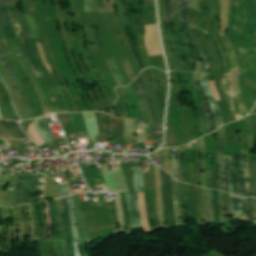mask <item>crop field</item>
Segmentation results:
<instances>
[{"instance_id": "34b2d1b8", "label": "crop field", "mask_w": 256, "mask_h": 256, "mask_svg": "<svg viewBox=\"0 0 256 256\" xmlns=\"http://www.w3.org/2000/svg\"><path fill=\"white\" fill-rule=\"evenodd\" d=\"M6 1V5L9 9V13H10V18H11V22H12V25L14 27V30L16 32V35L18 37V40H19V43H20V47L30 65V67L32 68L34 74L36 75V77H39L41 76L38 68L36 67L34 61L32 60L28 50H27V46H26V39H25V36H24V33H23V30L18 22V19H17V15H16V12L14 10V4L12 2V0H5Z\"/></svg>"}, {"instance_id": "e1f06a70", "label": "crop field", "mask_w": 256, "mask_h": 256, "mask_svg": "<svg viewBox=\"0 0 256 256\" xmlns=\"http://www.w3.org/2000/svg\"><path fill=\"white\" fill-rule=\"evenodd\" d=\"M135 192L143 191L142 169L134 170Z\"/></svg>"}, {"instance_id": "28ad6ade", "label": "crop field", "mask_w": 256, "mask_h": 256, "mask_svg": "<svg viewBox=\"0 0 256 256\" xmlns=\"http://www.w3.org/2000/svg\"><path fill=\"white\" fill-rule=\"evenodd\" d=\"M132 9L131 7V0H125V10H126V18H127V26H128V37H129V41H130V46H131V49L135 55V58L137 60V63L140 67V69H144L145 66L140 58V54H139V51L136 47V44H135V39H134V36H133V31H129V28H132L134 27V23H133V15H131L129 13L128 10Z\"/></svg>"}, {"instance_id": "89e229c0", "label": "crop field", "mask_w": 256, "mask_h": 256, "mask_svg": "<svg viewBox=\"0 0 256 256\" xmlns=\"http://www.w3.org/2000/svg\"><path fill=\"white\" fill-rule=\"evenodd\" d=\"M122 61H123L124 68H125L128 76H129V78H130V80L132 82L135 79V76H134V73H133V71H132V69H131V67L129 65L128 59L124 58V59H122Z\"/></svg>"}, {"instance_id": "dd49c442", "label": "crop field", "mask_w": 256, "mask_h": 256, "mask_svg": "<svg viewBox=\"0 0 256 256\" xmlns=\"http://www.w3.org/2000/svg\"><path fill=\"white\" fill-rule=\"evenodd\" d=\"M102 172L110 191L129 192L122 169L113 172L102 169Z\"/></svg>"}, {"instance_id": "d9b57169", "label": "crop field", "mask_w": 256, "mask_h": 256, "mask_svg": "<svg viewBox=\"0 0 256 256\" xmlns=\"http://www.w3.org/2000/svg\"><path fill=\"white\" fill-rule=\"evenodd\" d=\"M202 85H203V89L208 97L209 103L213 109V113L215 115V119H216V126L217 128L221 127L222 125H224L223 120H222V116L218 110V107L216 105V102L208 88V76L205 74H202Z\"/></svg>"}, {"instance_id": "1f2cbd36", "label": "crop field", "mask_w": 256, "mask_h": 256, "mask_svg": "<svg viewBox=\"0 0 256 256\" xmlns=\"http://www.w3.org/2000/svg\"><path fill=\"white\" fill-rule=\"evenodd\" d=\"M33 208H34V212H35V218H36L37 229H38V234H37L36 240H40V231H41V228L39 227V225L41 224V222H40V218H39V213H38V210H37V204H36V202H34Z\"/></svg>"}, {"instance_id": "0765c3eb", "label": "crop field", "mask_w": 256, "mask_h": 256, "mask_svg": "<svg viewBox=\"0 0 256 256\" xmlns=\"http://www.w3.org/2000/svg\"><path fill=\"white\" fill-rule=\"evenodd\" d=\"M247 202H248V212L251 215L250 217H248V219L250 222H254L251 198H247Z\"/></svg>"}, {"instance_id": "5d738f31", "label": "crop field", "mask_w": 256, "mask_h": 256, "mask_svg": "<svg viewBox=\"0 0 256 256\" xmlns=\"http://www.w3.org/2000/svg\"><path fill=\"white\" fill-rule=\"evenodd\" d=\"M82 218H83V228H84V234H85V238H86V244L88 246V245L92 244V242H91L90 235H89L86 211L82 214Z\"/></svg>"}, {"instance_id": "78b8030e", "label": "crop field", "mask_w": 256, "mask_h": 256, "mask_svg": "<svg viewBox=\"0 0 256 256\" xmlns=\"http://www.w3.org/2000/svg\"><path fill=\"white\" fill-rule=\"evenodd\" d=\"M172 2H173V13H176L178 10H180L179 0H172Z\"/></svg>"}, {"instance_id": "0f1d7ab4", "label": "crop field", "mask_w": 256, "mask_h": 256, "mask_svg": "<svg viewBox=\"0 0 256 256\" xmlns=\"http://www.w3.org/2000/svg\"><path fill=\"white\" fill-rule=\"evenodd\" d=\"M106 2H107V0H101V3H100V13L107 12L106 11Z\"/></svg>"}, {"instance_id": "0fb4a251", "label": "crop field", "mask_w": 256, "mask_h": 256, "mask_svg": "<svg viewBox=\"0 0 256 256\" xmlns=\"http://www.w3.org/2000/svg\"><path fill=\"white\" fill-rule=\"evenodd\" d=\"M164 6H165V16L173 15L171 0H164Z\"/></svg>"}, {"instance_id": "92a150f3", "label": "crop field", "mask_w": 256, "mask_h": 256, "mask_svg": "<svg viewBox=\"0 0 256 256\" xmlns=\"http://www.w3.org/2000/svg\"><path fill=\"white\" fill-rule=\"evenodd\" d=\"M74 201H75V214H76L77 227H78V233H79V237H80L81 248H82L84 256H90L86 250V244H85V239H84V235H83L82 219H81V215H80L79 196L78 195L74 196Z\"/></svg>"}, {"instance_id": "00972430", "label": "crop field", "mask_w": 256, "mask_h": 256, "mask_svg": "<svg viewBox=\"0 0 256 256\" xmlns=\"http://www.w3.org/2000/svg\"><path fill=\"white\" fill-rule=\"evenodd\" d=\"M68 206L70 209V215H71V221H72L73 239H74L76 256H82L80 247H79V238H78L76 223H75L73 196L68 197Z\"/></svg>"}, {"instance_id": "1d83c4d3", "label": "crop field", "mask_w": 256, "mask_h": 256, "mask_svg": "<svg viewBox=\"0 0 256 256\" xmlns=\"http://www.w3.org/2000/svg\"><path fill=\"white\" fill-rule=\"evenodd\" d=\"M172 185H173V194H174V211L177 221V227L182 226L180 221V215H179V202H178V185L177 180L172 178Z\"/></svg>"}, {"instance_id": "b54c1fbb", "label": "crop field", "mask_w": 256, "mask_h": 256, "mask_svg": "<svg viewBox=\"0 0 256 256\" xmlns=\"http://www.w3.org/2000/svg\"><path fill=\"white\" fill-rule=\"evenodd\" d=\"M108 62L110 64L111 71H112V73H113V75H114L118 85L119 86H125L124 82H123V80H122V78H121V76H120V74H119V72H118V70L116 68V65H115L114 61L110 60Z\"/></svg>"}, {"instance_id": "d23c7cc5", "label": "crop field", "mask_w": 256, "mask_h": 256, "mask_svg": "<svg viewBox=\"0 0 256 256\" xmlns=\"http://www.w3.org/2000/svg\"><path fill=\"white\" fill-rule=\"evenodd\" d=\"M185 198H186V211L187 219L191 220V211H190V198H189V185L185 184Z\"/></svg>"}, {"instance_id": "750c4746", "label": "crop field", "mask_w": 256, "mask_h": 256, "mask_svg": "<svg viewBox=\"0 0 256 256\" xmlns=\"http://www.w3.org/2000/svg\"><path fill=\"white\" fill-rule=\"evenodd\" d=\"M52 214H53V220L55 224L54 244H55L57 256H61L60 244H59V223H58L57 212H56V201H53V204H52Z\"/></svg>"}, {"instance_id": "425ffa30", "label": "crop field", "mask_w": 256, "mask_h": 256, "mask_svg": "<svg viewBox=\"0 0 256 256\" xmlns=\"http://www.w3.org/2000/svg\"><path fill=\"white\" fill-rule=\"evenodd\" d=\"M219 203H220V211H221V224L226 222L225 217V207H224V200H223V192L219 191Z\"/></svg>"}, {"instance_id": "c21b1889", "label": "crop field", "mask_w": 256, "mask_h": 256, "mask_svg": "<svg viewBox=\"0 0 256 256\" xmlns=\"http://www.w3.org/2000/svg\"><path fill=\"white\" fill-rule=\"evenodd\" d=\"M251 165H252V160L248 159L247 167H246V193H247V197H251V192H250Z\"/></svg>"}, {"instance_id": "d14b1444", "label": "crop field", "mask_w": 256, "mask_h": 256, "mask_svg": "<svg viewBox=\"0 0 256 256\" xmlns=\"http://www.w3.org/2000/svg\"><path fill=\"white\" fill-rule=\"evenodd\" d=\"M252 202H253L254 217H255V224H256V199L252 198Z\"/></svg>"}, {"instance_id": "4a817a6b", "label": "crop field", "mask_w": 256, "mask_h": 256, "mask_svg": "<svg viewBox=\"0 0 256 256\" xmlns=\"http://www.w3.org/2000/svg\"><path fill=\"white\" fill-rule=\"evenodd\" d=\"M34 126L38 130L39 134L45 139V141L48 142V145L57 142V139L46 123L44 117L37 119V121L34 123Z\"/></svg>"}, {"instance_id": "f4fd0767", "label": "crop field", "mask_w": 256, "mask_h": 256, "mask_svg": "<svg viewBox=\"0 0 256 256\" xmlns=\"http://www.w3.org/2000/svg\"><path fill=\"white\" fill-rule=\"evenodd\" d=\"M213 4H214L213 33H214V38L222 54L225 73H226L229 69H231V63L219 34L220 0H213Z\"/></svg>"}, {"instance_id": "a9b5d70f", "label": "crop field", "mask_w": 256, "mask_h": 256, "mask_svg": "<svg viewBox=\"0 0 256 256\" xmlns=\"http://www.w3.org/2000/svg\"><path fill=\"white\" fill-rule=\"evenodd\" d=\"M196 84H197L199 92L202 95V98L205 97V94H204V92L202 90V86H201V80H197ZM202 103H203L205 111H206V115H207L208 122H209V130H210V133H211V132L216 130L214 115H213V113L210 109V106H209V103H208L207 99L205 101H203V99H202Z\"/></svg>"}, {"instance_id": "120bbe31", "label": "crop field", "mask_w": 256, "mask_h": 256, "mask_svg": "<svg viewBox=\"0 0 256 256\" xmlns=\"http://www.w3.org/2000/svg\"><path fill=\"white\" fill-rule=\"evenodd\" d=\"M10 23L8 9L4 0H0V25Z\"/></svg>"}, {"instance_id": "214f88e0", "label": "crop field", "mask_w": 256, "mask_h": 256, "mask_svg": "<svg viewBox=\"0 0 256 256\" xmlns=\"http://www.w3.org/2000/svg\"><path fill=\"white\" fill-rule=\"evenodd\" d=\"M181 28L183 30L184 36H185L188 44L193 47V52L195 54V57H201V54H200L197 46L193 42V40L190 36V33H189L188 18H187V7L185 9L181 10Z\"/></svg>"}, {"instance_id": "b80d0937", "label": "crop field", "mask_w": 256, "mask_h": 256, "mask_svg": "<svg viewBox=\"0 0 256 256\" xmlns=\"http://www.w3.org/2000/svg\"><path fill=\"white\" fill-rule=\"evenodd\" d=\"M92 28H93V32H94V43H95L96 54L103 53L98 26H95Z\"/></svg>"}, {"instance_id": "25e5ab78", "label": "crop field", "mask_w": 256, "mask_h": 256, "mask_svg": "<svg viewBox=\"0 0 256 256\" xmlns=\"http://www.w3.org/2000/svg\"><path fill=\"white\" fill-rule=\"evenodd\" d=\"M235 95H236V98H237V101H238V104H239L242 116H245L246 114H248V112H247V109L245 107V103H244L242 94L241 93H237Z\"/></svg>"}, {"instance_id": "dbb93151", "label": "crop field", "mask_w": 256, "mask_h": 256, "mask_svg": "<svg viewBox=\"0 0 256 256\" xmlns=\"http://www.w3.org/2000/svg\"><path fill=\"white\" fill-rule=\"evenodd\" d=\"M58 190H59V198L68 196V185L67 184L58 185Z\"/></svg>"}, {"instance_id": "ae1a2a85", "label": "crop field", "mask_w": 256, "mask_h": 256, "mask_svg": "<svg viewBox=\"0 0 256 256\" xmlns=\"http://www.w3.org/2000/svg\"><path fill=\"white\" fill-rule=\"evenodd\" d=\"M26 38H27V42H28V45H29V48H30V52L41 72V74H46L48 73V71L46 70V68L43 66L37 52H36V49H35V44H34V40H33V36L32 34H28L26 35Z\"/></svg>"}, {"instance_id": "1d79db26", "label": "crop field", "mask_w": 256, "mask_h": 256, "mask_svg": "<svg viewBox=\"0 0 256 256\" xmlns=\"http://www.w3.org/2000/svg\"><path fill=\"white\" fill-rule=\"evenodd\" d=\"M172 158V176L177 178V162H176V153L171 154Z\"/></svg>"}, {"instance_id": "4177f3b9", "label": "crop field", "mask_w": 256, "mask_h": 256, "mask_svg": "<svg viewBox=\"0 0 256 256\" xmlns=\"http://www.w3.org/2000/svg\"><path fill=\"white\" fill-rule=\"evenodd\" d=\"M137 79H138V81L140 83V86H141V88L144 92V95L146 97L148 108H149V111H150V116H151V119H152V123H153V125H158L156 115H155V108H154V105H153V101H152V98H151V96L148 92V89H147V87L144 83L142 74Z\"/></svg>"}, {"instance_id": "db79e9e6", "label": "crop field", "mask_w": 256, "mask_h": 256, "mask_svg": "<svg viewBox=\"0 0 256 256\" xmlns=\"http://www.w3.org/2000/svg\"><path fill=\"white\" fill-rule=\"evenodd\" d=\"M184 164H185V171H184L185 182L189 183V175H188L189 168L187 164V154H185Z\"/></svg>"}, {"instance_id": "0bd39190", "label": "crop field", "mask_w": 256, "mask_h": 256, "mask_svg": "<svg viewBox=\"0 0 256 256\" xmlns=\"http://www.w3.org/2000/svg\"><path fill=\"white\" fill-rule=\"evenodd\" d=\"M60 213V219H61V224H62V230H61V250H62V256H67V251H66V240H65V227L63 224V211L62 209L59 210Z\"/></svg>"}, {"instance_id": "ade564c9", "label": "crop field", "mask_w": 256, "mask_h": 256, "mask_svg": "<svg viewBox=\"0 0 256 256\" xmlns=\"http://www.w3.org/2000/svg\"><path fill=\"white\" fill-rule=\"evenodd\" d=\"M194 3H196V0H188V6H190V5L194 4Z\"/></svg>"}, {"instance_id": "d8731c3e", "label": "crop field", "mask_w": 256, "mask_h": 256, "mask_svg": "<svg viewBox=\"0 0 256 256\" xmlns=\"http://www.w3.org/2000/svg\"><path fill=\"white\" fill-rule=\"evenodd\" d=\"M128 211L130 215V225L132 230L143 228L138 205V193H126Z\"/></svg>"}, {"instance_id": "bd1437ed", "label": "crop field", "mask_w": 256, "mask_h": 256, "mask_svg": "<svg viewBox=\"0 0 256 256\" xmlns=\"http://www.w3.org/2000/svg\"><path fill=\"white\" fill-rule=\"evenodd\" d=\"M167 175V189H168V204H169V214L171 217L172 227H176V221L173 211V194H172V186H171V176Z\"/></svg>"}, {"instance_id": "e1d0b9f6", "label": "crop field", "mask_w": 256, "mask_h": 256, "mask_svg": "<svg viewBox=\"0 0 256 256\" xmlns=\"http://www.w3.org/2000/svg\"><path fill=\"white\" fill-rule=\"evenodd\" d=\"M84 3H85L86 12L92 11V9H91V0H84Z\"/></svg>"}, {"instance_id": "d32e631a", "label": "crop field", "mask_w": 256, "mask_h": 256, "mask_svg": "<svg viewBox=\"0 0 256 256\" xmlns=\"http://www.w3.org/2000/svg\"><path fill=\"white\" fill-rule=\"evenodd\" d=\"M121 204L124 212V223L127 228V233L128 235L131 234V227L129 225V216H128V211H127V205H126V200H125V193H121Z\"/></svg>"}, {"instance_id": "dafd665d", "label": "crop field", "mask_w": 256, "mask_h": 256, "mask_svg": "<svg viewBox=\"0 0 256 256\" xmlns=\"http://www.w3.org/2000/svg\"><path fill=\"white\" fill-rule=\"evenodd\" d=\"M63 201V210L66 220V233H67V246H68V256H75L73 252V239H72V230L70 226L69 213L67 207V198L62 199Z\"/></svg>"}, {"instance_id": "e52e79f7", "label": "crop field", "mask_w": 256, "mask_h": 256, "mask_svg": "<svg viewBox=\"0 0 256 256\" xmlns=\"http://www.w3.org/2000/svg\"><path fill=\"white\" fill-rule=\"evenodd\" d=\"M168 26V35L171 41L173 54L175 57L177 70H186V64L182 61V56L185 55L183 48L180 46L173 33V17H165Z\"/></svg>"}, {"instance_id": "ac0d7876", "label": "crop field", "mask_w": 256, "mask_h": 256, "mask_svg": "<svg viewBox=\"0 0 256 256\" xmlns=\"http://www.w3.org/2000/svg\"><path fill=\"white\" fill-rule=\"evenodd\" d=\"M246 161L247 152L232 154L228 168L230 193L240 197H246L244 185Z\"/></svg>"}, {"instance_id": "c39391a2", "label": "crop field", "mask_w": 256, "mask_h": 256, "mask_svg": "<svg viewBox=\"0 0 256 256\" xmlns=\"http://www.w3.org/2000/svg\"><path fill=\"white\" fill-rule=\"evenodd\" d=\"M181 9L187 6V0H180Z\"/></svg>"}, {"instance_id": "028f5c9d", "label": "crop field", "mask_w": 256, "mask_h": 256, "mask_svg": "<svg viewBox=\"0 0 256 256\" xmlns=\"http://www.w3.org/2000/svg\"><path fill=\"white\" fill-rule=\"evenodd\" d=\"M17 139L28 138L20 128V125L17 122H5Z\"/></svg>"}, {"instance_id": "ae633e8c", "label": "crop field", "mask_w": 256, "mask_h": 256, "mask_svg": "<svg viewBox=\"0 0 256 256\" xmlns=\"http://www.w3.org/2000/svg\"><path fill=\"white\" fill-rule=\"evenodd\" d=\"M212 40H213V39H212ZM213 43H214V46H215V48H216V50H217V53H218V55H219V57H220V61H221V71H222V74H224L223 63H222L220 51H219V49H218V47H217V45H216V43H215L214 40H213Z\"/></svg>"}, {"instance_id": "733c2abd", "label": "crop field", "mask_w": 256, "mask_h": 256, "mask_svg": "<svg viewBox=\"0 0 256 256\" xmlns=\"http://www.w3.org/2000/svg\"><path fill=\"white\" fill-rule=\"evenodd\" d=\"M23 182H22V189L19 193L18 204L29 203L31 198V191L33 185V175L23 174Z\"/></svg>"}, {"instance_id": "5142ce71", "label": "crop field", "mask_w": 256, "mask_h": 256, "mask_svg": "<svg viewBox=\"0 0 256 256\" xmlns=\"http://www.w3.org/2000/svg\"><path fill=\"white\" fill-rule=\"evenodd\" d=\"M206 192H208V205H209V215H210V221L208 216V208H207V195ZM202 203H203V216H204V224L209 223H215L214 219V212H213V192L209 189H202Z\"/></svg>"}, {"instance_id": "bc2a9ffb", "label": "crop field", "mask_w": 256, "mask_h": 256, "mask_svg": "<svg viewBox=\"0 0 256 256\" xmlns=\"http://www.w3.org/2000/svg\"><path fill=\"white\" fill-rule=\"evenodd\" d=\"M230 199H231L232 219H242V220L248 221L247 219H244V218H247V203H246V200H238V199L233 197L235 216L244 217V218H238V217H234L233 202H232V196L231 195H230ZM239 199H246V198H239Z\"/></svg>"}, {"instance_id": "03da06ac", "label": "crop field", "mask_w": 256, "mask_h": 256, "mask_svg": "<svg viewBox=\"0 0 256 256\" xmlns=\"http://www.w3.org/2000/svg\"><path fill=\"white\" fill-rule=\"evenodd\" d=\"M222 39H223V42H224V44H225V46H226V48L228 50L229 57H230L231 63H232V68H237L234 52H233V50H232V48H231V46H230V44L228 42L227 37L223 36Z\"/></svg>"}, {"instance_id": "73cf0c24", "label": "crop field", "mask_w": 256, "mask_h": 256, "mask_svg": "<svg viewBox=\"0 0 256 256\" xmlns=\"http://www.w3.org/2000/svg\"><path fill=\"white\" fill-rule=\"evenodd\" d=\"M222 165H223V153L219 154V166H220V176H219V183L218 188L223 191V174H222Z\"/></svg>"}, {"instance_id": "3316defc", "label": "crop field", "mask_w": 256, "mask_h": 256, "mask_svg": "<svg viewBox=\"0 0 256 256\" xmlns=\"http://www.w3.org/2000/svg\"><path fill=\"white\" fill-rule=\"evenodd\" d=\"M145 29H146L145 42H146V48L149 56L155 55L153 46H152V39H153V45H154L156 55H163L160 42L158 39V34H157V24L151 25L152 39H151L150 25H145Z\"/></svg>"}, {"instance_id": "412701ff", "label": "crop field", "mask_w": 256, "mask_h": 256, "mask_svg": "<svg viewBox=\"0 0 256 256\" xmlns=\"http://www.w3.org/2000/svg\"><path fill=\"white\" fill-rule=\"evenodd\" d=\"M188 17H189V28L191 32V36L194 39L196 45L198 46L199 50L202 53L203 59H204V65L202 69V73H209V60L207 56V51L204 48V45L199 39L198 36V30H197V25H196V4L192 5L188 8Z\"/></svg>"}, {"instance_id": "d1516ede", "label": "crop field", "mask_w": 256, "mask_h": 256, "mask_svg": "<svg viewBox=\"0 0 256 256\" xmlns=\"http://www.w3.org/2000/svg\"><path fill=\"white\" fill-rule=\"evenodd\" d=\"M187 82L192 90L194 99H195V103L199 112V116H200V120H201V125H202V129H203V134H208V125H207V119H206V115H205V111L203 109L202 103H201V99L199 94L197 93L194 83H193V73L192 72H187Z\"/></svg>"}, {"instance_id": "cbeb9de0", "label": "crop field", "mask_w": 256, "mask_h": 256, "mask_svg": "<svg viewBox=\"0 0 256 256\" xmlns=\"http://www.w3.org/2000/svg\"><path fill=\"white\" fill-rule=\"evenodd\" d=\"M119 88H120V90H121V92H122V94H123V96H124V98H125V100H126V102L128 104L131 118H137L138 117V118L143 119V115H142V113L140 111V108H139V105H138V101H137V97H136V95H135V93L133 91L132 86L129 85L127 87V89L126 88H122V87H119ZM127 90L130 93V96L132 98L133 103H132V101H131V99L129 97V94H128ZM133 104L135 106L137 117H136V114H135V110H134Z\"/></svg>"}, {"instance_id": "730fd06b", "label": "crop field", "mask_w": 256, "mask_h": 256, "mask_svg": "<svg viewBox=\"0 0 256 256\" xmlns=\"http://www.w3.org/2000/svg\"><path fill=\"white\" fill-rule=\"evenodd\" d=\"M161 179H162V199H163V209H164V219L166 228L171 227L170 217L168 214V205H167V189H166V176L165 171L161 169Z\"/></svg>"}, {"instance_id": "5a996713", "label": "crop field", "mask_w": 256, "mask_h": 256, "mask_svg": "<svg viewBox=\"0 0 256 256\" xmlns=\"http://www.w3.org/2000/svg\"><path fill=\"white\" fill-rule=\"evenodd\" d=\"M174 30H175L176 37L178 38L179 42L183 45V47L185 49L186 59H187V70L193 71L194 56L192 54V51H191L189 45L184 40L182 31L180 29V11L177 12L176 15H174Z\"/></svg>"}, {"instance_id": "9d1cf04e", "label": "crop field", "mask_w": 256, "mask_h": 256, "mask_svg": "<svg viewBox=\"0 0 256 256\" xmlns=\"http://www.w3.org/2000/svg\"><path fill=\"white\" fill-rule=\"evenodd\" d=\"M228 163H229V159L225 160V165H224V183H225V191H227V192H229L228 178H227Z\"/></svg>"}, {"instance_id": "c5b07064", "label": "crop field", "mask_w": 256, "mask_h": 256, "mask_svg": "<svg viewBox=\"0 0 256 256\" xmlns=\"http://www.w3.org/2000/svg\"><path fill=\"white\" fill-rule=\"evenodd\" d=\"M1 144H6V142H4L3 140H0V145Z\"/></svg>"}, {"instance_id": "5866460e", "label": "crop field", "mask_w": 256, "mask_h": 256, "mask_svg": "<svg viewBox=\"0 0 256 256\" xmlns=\"http://www.w3.org/2000/svg\"><path fill=\"white\" fill-rule=\"evenodd\" d=\"M220 153L227 150L225 127L217 130Z\"/></svg>"}, {"instance_id": "7b73153f", "label": "crop field", "mask_w": 256, "mask_h": 256, "mask_svg": "<svg viewBox=\"0 0 256 256\" xmlns=\"http://www.w3.org/2000/svg\"><path fill=\"white\" fill-rule=\"evenodd\" d=\"M29 131L35 137V139L38 141L40 146L44 144L43 141L41 140V138L39 137L38 133L36 132V130L33 128V126H31Z\"/></svg>"}, {"instance_id": "d3111659", "label": "crop field", "mask_w": 256, "mask_h": 256, "mask_svg": "<svg viewBox=\"0 0 256 256\" xmlns=\"http://www.w3.org/2000/svg\"><path fill=\"white\" fill-rule=\"evenodd\" d=\"M132 86L137 94V97H138V100L140 102V107H141V110H142V113L144 115V118L146 120H150V116H149V112H148V108H147V104H146V101H145V97L141 91V88L137 82V80H135L133 83H132Z\"/></svg>"}, {"instance_id": "eef30255", "label": "crop field", "mask_w": 256, "mask_h": 256, "mask_svg": "<svg viewBox=\"0 0 256 256\" xmlns=\"http://www.w3.org/2000/svg\"><path fill=\"white\" fill-rule=\"evenodd\" d=\"M230 73H231V70L227 74H225L224 84H225L226 90L228 92L229 98L231 100V103H232V106H233V109H234V112L236 115V119L238 120V119L242 118V116H241L237 101L233 95V90H232V87L230 84Z\"/></svg>"}, {"instance_id": "c035e120", "label": "crop field", "mask_w": 256, "mask_h": 256, "mask_svg": "<svg viewBox=\"0 0 256 256\" xmlns=\"http://www.w3.org/2000/svg\"><path fill=\"white\" fill-rule=\"evenodd\" d=\"M110 209H111L112 225H113V228H114V234H119L118 220H117V214H116V203L115 202H110Z\"/></svg>"}, {"instance_id": "22f410ed", "label": "crop field", "mask_w": 256, "mask_h": 256, "mask_svg": "<svg viewBox=\"0 0 256 256\" xmlns=\"http://www.w3.org/2000/svg\"><path fill=\"white\" fill-rule=\"evenodd\" d=\"M0 62L1 64L3 65V67L7 70V72L9 73L10 77L12 78L13 82H14V85H15V88L20 96V99H21V102L23 104V107H24V110L26 112V114L28 115L29 118H32L33 115H32V112L30 110V107L26 101V98L20 88V84H19V81L14 73V71L10 68V66L7 64L6 60L4 59V57L2 56L1 52H0Z\"/></svg>"}, {"instance_id": "8a807250", "label": "crop field", "mask_w": 256, "mask_h": 256, "mask_svg": "<svg viewBox=\"0 0 256 256\" xmlns=\"http://www.w3.org/2000/svg\"><path fill=\"white\" fill-rule=\"evenodd\" d=\"M228 38L239 65V74L246 73L253 104L256 103V0H231Z\"/></svg>"}, {"instance_id": "447ae74e", "label": "crop field", "mask_w": 256, "mask_h": 256, "mask_svg": "<svg viewBox=\"0 0 256 256\" xmlns=\"http://www.w3.org/2000/svg\"><path fill=\"white\" fill-rule=\"evenodd\" d=\"M37 46H38V50H39V52H40V54H41V56H42V58H43V60H44V62H45V64H46L47 68H48L51 72H53V69L50 67V65L48 64V62H47V60H46V58H45L42 45H41V44H37ZM49 70H48V71H49ZM50 71H49V72H50Z\"/></svg>"}]
</instances>
